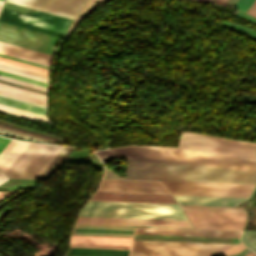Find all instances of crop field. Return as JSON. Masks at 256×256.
I'll list each match as a JSON object with an SVG mask.
<instances>
[{
	"label": "crop field",
	"instance_id": "dafd665d",
	"mask_svg": "<svg viewBox=\"0 0 256 256\" xmlns=\"http://www.w3.org/2000/svg\"><path fill=\"white\" fill-rule=\"evenodd\" d=\"M66 256H128L129 250L70 247Z\"/></svg>",
	"mask_w": 256,
	"mask_h": 256
},
{
	"label": "crop field",
	"instance_id": "89e229c0",
	"mask_svg": "<svg viewBox=\"0 0 256 256\" xmlns=\"http://www.w3.org/2000/svg\"><path fill=\"white\" fill-rule=\"evenodd\" d=\"M236 0H228L225 5L232 7V5L235 3Z\"/></svg>",
	"mask_w": 256,
	"mask_h": 256
},
{
	"label": "crop field",
	"instance_id": "bc2a9ffb",
	"mask_svg": "<svg viewBox=\"0 0 256 256\" xmlns=\"http://www.w3.org/2000/svg\"><path fill=\"white\" fill-rule=\"evenodd\" d=\"M91 200L175 203L172 196L95 193Z\"/></svg>",
	"mask_w": 256,
	"mask_h": 256
},
{
	"label": "crop field",
	"instance_id": "5142ce71",
	"mask_svg": "<svg viewBox=\"0 0 256 256\" xmlns=\"http://www.w3.org/2000/svg\"><path fill=\"white\" fill-rule=\"evenodd\" d=\"M135 227L76 225L72 235L132 237Z\"/></svg>",
	"mask_w": 256,
	"mask_h": 256
},
{
	"label": "crop field",
	"instance_id": "cbeb9de0",
	"mask_svg": "<svg viewBox=\"0 0 256 256\" xmlns=\"http://www.w3.org/2000/svg\"><path fill=\"white\" fill-rule=\"evenodd\" d=\"M179 147L256 159V151L180 139Z\"/></svg>",
	"mask_w": 256,
	"mask_h": 256
},
{
	"label": "crop field",
	"instance_id": "f4fd0767",
	"mask_svg": "<svg viewBox=\"0 0 256 256\" xmlns=\"http://www.w3.org/2000/svg\"><path fill=\"white\" fill-rule=\"evenodd\" d=\"M0 21L62 38L71 19L37 10L19 14L4 8Z\"/></svg>",
	"mask_w": 256,
	"mask_h": 256
},
{
	"label": "crop field",
	"instance_id": "8a807250",
	"mask_svg": "<svg viewBox=\"0 0 256 256\" xmlns=\"http://www.w3.org/2000/svg\"><path fill=\"white\" fill-rule=\"evenodd\" d=\"M125 179L255 184L256 172L127 159ZM104 177L124 178L105 168Z\"/></svg>",
	"mask_w": 256,
	"mask_h": 256
},
{
	"label": "crop field",
	"instance_id": "b54c1fbb",
	"mask_svg": "<svg viewBox=\"0 0 256 256\" xmlns=\"http://www.w3.org/2000/svg\"><path fill=\"white\" fill-rule=\"evenodd\" d=\"M247 13L255 16L256 14V0L253 2V4L250 6V8L247 10Z\"/></svg>",
	"mask_w": 256,
	"mask_h": 256
},
{
	"label": "crop field",
	"instance_id": "425ffa30",
	"mask_svg": "<svg viewBox=\"0 0 256 256\" xmlns=\"http://www.w3.org/2000/svg\"><path fill=\"white\" fill-rule=\"evenodd\" d=\"M248 251H250L247 247L243 250V251H241L240 253H238V254H235V255H232V256H243V255H245Z\"/></svg>",
	"mask_w": 256,
	"mask_h": 256
},
{
	"label": "crop field",
	"instance_id": "b80d0937",
	"mask_svg": "<svg viewBox=\"0 0 256 256\" xmlns=\"http://www.w3.org/2000/svg\"><path fill=\"white\" fill-rule=\"evenodd\" d=\"M63 147L60 146L57 151L52 155V157L46 162V164L40 169V171L35 175L33 179H37L39 175L44 171V169L50 164V162L56 157V155L61 151Z\"/></svg>",
	"mask_w": 256,
	"mask_h": 256
},
{
	"label": "crop field",
	"instance_id": "c21b1889",
	"mask_svg": "<svg viewBox=\"0 0 256 256\" xmlns=\"http://www.w3.org/2000/svg\"><path fill=\"white\" fill-rule=\"evenodd\" d=\"M235 16H238V17H241V18H244V19H247V20H250V21H253V22L256 23V18L251 17V16H249V15H246V14H244V13H241V12H239V11L236 12Z\"/></svg>",
	"mask_w": 256,
	"mask_h": 256
},
{
	"label": "crop field",
	"instance_id": "28ad6ade",
	"mask_svg": "<svg viewBox=\"0 0 256 256\" xmlns=\"http://www.w3.org/2000/svg\"><path fill=\"white\" fill-rule=\"evenodd\" d=\"M168 189L250 192L253 185L161 181Z\"/></svg>",
	"mask_w": 256,
	"mask_h": 256
},
{
	"label": "crop field",
	"instance_id": "412701ff",
	"mask_svg": "<svg viewBox=\"0 0 256 256\" xmlns=\"http://www.w3.org/2000/svg\"><path fill=\"white\" fill-rule=\"evenodd\" d=\"M236 244L134 240L130 256H216Z\"/></svg>",
	"mask_w": 256,
	"mask_h": 256
},
{
	"label": "crop field",
	"instance_id": "1f2cbd36",
	"mask_svg": "<svg viewBox=\"0 0 256 256\" xmlns=\"http://www.w3.org/2000/svg\"><path fill=\"white\" fill-rule=\"evenodd\" d=\"M227 0H216V4H221V5H224V3L226 2Z\"/></svg>",
	"mask_w": 256,
	"mask_h": 256
},
{
	"label": "crop field",
	"instance_id": "dd49c442",
	"mask_svg": "<svg viewBox=\"0 0 256 256\" xmlns=\"http://www.w3.org/2000/svg\"><path fill=\"white\" fill-rule=\"evenodd\" d=\"M57 148L29 143L4 173L11 178L32 179Z\"/></svg>",
	"mask_w": 256,
	"mask_h": 256
},
{
	"label": "crop field",
	"instance_id": "d3111659",
	"mask_svg": "<svg viewBox=\"0 0 256 256\" xmlns=\"http://www.w3.org/2000/svg\"><path fill=\"white\" fill-rule=\"evenodd\" d=\"M71 149L72 148L64 147L40 177H49L50 174L55 170V168L60 164V162L65 158V156L70 152Z\"/></svg>",
	"mask_w": 256,
	"mask_h": 256
},
{
	"label": "crop field",
	"instance_id": "ae1a2a85",
	"mask_svg": "<svg viewBox=\"0 0 256 256\" xmlns=\"http://www.w3.org/2000/svg\"><path fill=\"white\" fill-rule=\"evenodd\" d=\"M182 210L245 212L240 207L180 205Z\"/></svg>",
	"mask_w": 256,
	"mask_h": 256
},
{
	"label": "crop field",
	"instance_id": "5a996713",
	"mask_svg": "<svg viewBox=\"0 0 256 256\" xmlns=\"http://www.w3.org/2000/svg\"><path fill=\"white\" fill-rule=\"evenodd\" d=\"M86 0H7V2L39 9L73 19Z\"/></svg>",
	"mask_w": 256,
	"mask_h": 256
},
{
	"label": "crop field",
	"instance_id": "730fd06b",
	"mask_svg": "<svg viewBox=\"0 0 256 256\" xmlns=\"http://www.w3.org/2000/svg\"><path fill=\"white\" fill-rule=\"evenodd\" d=\"M172 194L248 197L250 193L170 190Z\"/></svg>",
	"mask_w": 256,
	"mask_h": 256
},
{
	"label": "crop field",
	"instance_id": "c035e120",
	"mask_svg": "<svg viewBox=\"0 0 256 256\" xmlns=\"http://www.w3.org/2000/svg\"><path fill=\"white\" fill-rule=\"evenodd\" d=\"M244 248H245V246H243L242 244H239L238 246H235V247L223 252V255L227 256V255H231V254H234V253H238L241 250H243Z\"/></svg>",
	"mask_w": 256,
	"mask_h": 256
},
{
	"label": "crop field",
	"instance_id": "ac0d7876",
	"mask_svg": "<svg viewBox=\"0 0 256 256\" xmlns=\"http://www.w3.org/2000/svg\"><path fill=\"white\" fill-rule=\"evenodd\" d=\"M97 154L99 158H131L256 171V160L254 159L182 148L129 146L99 151Z\"/></svg>",
	"mask_w": 256,
	"mask_h": 256
},
{
	"label": "crop field",
	"instance_id": "eef30255",
	"mask_svg": "<svg viewBox=\"0 0 256 256\" xmlns=\"http://www.w3.org/2000/svg\"><path fill=\"white\" fill-rule=\"evenodd\" d=\"M0 103L6 104V105H9V106H13V107H17V108H20V109L32 111V112H35V113L43 114V115L46 116V109L45 108H41V107H37V106H34V105L22 103V102L11 100V99L4 98V97H0Z\"/></svg>",
	"mask_w": 256,
	"mask_h": 256
},
{
	"label": "crop field",
	"instance_id": "d23c7cc5",
	"mask_svg": "<svg viewBox=\"0 0 256 256\" xmlns=\"http://www.w3.org/2000/svg\"><path fill=\"white\" fill-rule=\"evenodd\" d=\"M7 180L9 179L6 177V175L0 172V184Z\"/></svg>",
	"mask_w": 256,
	"mask_h": 256
},
{
	"label": "crop field",
	"instance_id": "dbb93151",
	"mask_svg": "<svg viewBox=\"0 0 256 256\" xmlns=\"http://www.w3.org/2000/svg\"><path fill=\"white\" fill-rule=\"evenodd\" d=\"M245 256H256V254H254L253 252H249V253H247Z\"/></svg>",
	"mask_w": 256,
	"mask_h": 256
},
{
	"label": "crop field",
	"instance_id": "73cf0c24",
	"mask_svg": "<svg viewBox=\"0 0 256 256\" xmlns=\"http://www.w3.org/2000/svg\"><path fill=\"white\" fill-rule=\"evenodd\" d=\"M0 96H4V97H8V98H11V99H15V100H19V99H16V98H12V97H9V96H5V95H1ZM19 101H22V102H26V103H30V102H27V101H23V100H19ZM30 104H34V103H30ZM34 105H37V104H34ZM37 106H41V105H37ZM41 107H45V106H41ZM46 108V107H45Z\"/></svg>",
	"mask_w": 256,
	"mask_h": 256
},
{
	"label": "crop field",
	"instance_id": "e52e79f7",
	"mask_svg": "<svg viewBox=\"0 0 256 256\" xmlns=\"http://www.w3.org/2000/svg\"><path fill=\"white\" fill-rule=\"evenodd\" d=\"M0 40L53 55L61 39L0 23Z\"/></svg>",
	"mask_w": 256,
	"mask_h": 256
},
{
	"label": "crop field",
	"instance_id": "92a150f3",
	"mask_svg": "<svg viewBox=\"0 0 256 256\" xmlns=\"http://www.w3.org/2000/svg\"><path fill=\"white\" fill-rule=\"evenodd\" d=\"M0 93L1 94H5V95H9L12 97H16L19 99H23V100H27L30 102H34L37 104H41V105H45L47 103V96L46 95H42V94H38L35 92H31V91H27L24 89H20V88H16L13 86H9L6 84H2L0 83Z\"/></svg>",
	"mask_w": 256,
	"mask_h": 256
},
{
	"label": "crop field",
	"instance_id": "0bd39190",
	"mask_svg": "<svg viewBox=\"0 0 256 256\" xmlns=\"http://www.w3.org/2000/svg\"><path fill=\"white\" fill-rule=\"evenodd\" d=\"M0 59H1V60H4V61L12 62V63H15V64H19V65H22V66L30 67V68H33V69H37V70H40V71H44V72H48V73H49V70H48V69H44V68H40V67H37V66L25 64V63H22V62L14 61V60L7 59V58H3V57H0Z\"/></svg>",
	"mask_w": 256,
	"mask_h": 256
},
{
	"label": "crop field",
	"instance_id": "00972430",
	"mask_svg": "<svg viewBox=\"0 0 256 256\" xmlns=\"http://www.w3.org/2000/svg\"><path fill=\"white\" fill-rule=\"evenodd\" d=\"M27 144H28L27 142H22V141H15V140L10 141V143L0 153V169L3 172L13 162V160L19 155V153L26 147Z\"/></svg>",
	"mask_w": 256,
	"mask_h": 256
},
{
	"label": "crop field",
	"instance_id": "34b2d1b8",
	"mask_svg": "<svg viewBox=\"0 0 256 256\" xmlns=\"http://www.w3.org/2000/svg\"><path fill=\"white\" fill-rule=\"evenodd\" d=\"M80 216L186 220L177 204L89 201Z\"/></svg>",
	"mask_w": 256,
	"mask_h": 256
},
{
	"label": "crop field",
	"instance_id": "0fb4a251",
	"mask_svg": "<svg viewBox=\"0 0 256 256\" xmlns=\"http://www.w3.org/2000/svg\"><path fill=\"white\" fill-rule=\"evenodd\" d=\"M3 3H4L3 1H0V10L2 8Z\"/></svg>",
	"mask_w": 256,
	"mask_h": 256
},
{
	"label": "crop field",
	"instance_id": "214f88e0",
	"mask_svg": "<svg viewBox=\"0 0 256 256\" xmlns=\"http://www.w3.org/2000/svg\"><path fill=\"white\" fill-rule=\"evenodd\" d=\"M180 138L256 150V143L253 142L238 141L190 132L181 133Z\"/></svg>",
	"mask_w": 256,
	"mask_h": 256
},
{
	"label": "crop field",
	"instance_id": "750c4746",
	"mask_svg": "<svg viewBox=\"0 0 256 256\" xmlns=\"http://www.w3.org/2000/svg\"><path fill=\"white\" fill-rule=\"evenodd\" d=\"M0 133L4 134V135L11 136V137L20 138V139H26V140H32V141L54 142V141H51V140L39 138V137H36V136L28 135V134H25V133L13 131V130L2 128V127H0Z\"/></svg>",
	"mask_w": 256,
	"mask_h": 256
},
{
	"label": "crop field",
	"instance_id": "03da06ac",
	"mask_svg": "<svg viewBox=\"0 0 256 256\" xmlns=\"http://www.w3.org/2000/svg\"><path fill=\"white\" fill-rule=\"evenodd\" d=\"M9 141H10V139H6V138H3V137H0V152L8 144Z\"/></svg>",
	"mask_w": 256,
	"mask_h": 256
},
{
	"label": "crop field",
	"instance_id": "a9b5d70f",
	"mask_svg": "<svg viewBox=\"0 0 256 256\" xmlns=\"http://www.w3.org/2000/svg\"><path fill=\"white\" fill-rule=\"evenodd\" d=\"M0 62L4 63V64L12 65V66L20 67V68H23V69L39 72V73L44 74V75H49L47 73H43V72L36 71V70H33V69L25 68V67L18 66V65H15V64H11V63H8V62H4V61H1V60H0ZM1 63H0V70L46 82L47 76L40 75L39 73L23 70V69H20V68L4 65V64H1ZM48 79H49V77H48ZM48 79H47V82H48Z\"/></svg>",
	"mask_w": 256,
	"mask_h": 256
},
{
	"label": "crop field",
	"instance_id": "d1516ede",
	"mask_svg": "<svg viewBox=\"0 0 256 256\" xmlns=\"http://www.w3.org/2000/svg\"><path fill=\"white\" fill-rule=\"evenodd\" d=\"M132 238L72 236L70 246L129 249Z\"/></svg>",
	"mask_w": 256,
	"mask_h": 256
},
{
	"label": "crop field",
	"instance_id": "1d83c4d3",
	"mask_svg": "<svg viewBox=\"0 0 256 256\" xmlns=\"http://www.w3.org/2000/svg\"><path fill=\"white\" fill-rule=\"evenodd\" d=\"M240 241L256 251V232L243 231Z\"/></svg>",
	"mask_w": 256,
	"mask_h": 256
},
{
	"label": "crop field",
	"instance_id": "bd1437ed",
	"mask_svg": "<svg viewBox=\"0 0 256 256\" xmlns=\"http://www.w3.org/2000/svg\"><path fill=\"white\" fill-rule=\"evenodd\" d=\"M0 110L12 112V113H16V114H20V115H24V116H28V117L35 118V119L42 120V121H46V119H47V117L45 119V117L41 116V115H37V114H34V113L26 112V111H23V110H19V109H16V108L8 107V106L1 105V104H0ZM48 122L50 123L49 120H48Z\"/></svg>",
	"mask_w": 256,
	"mask_h": 256
},
{
	"label": "crop field",
	"instance_id": "3316defc",
	"mask_svg": "<svg viewBox=\"0 0 256 256\" xmlns=\"http://www.w3.org/2000/svg\"><path fill=\"white\" fill-rule=\"evenodd\" d=\"M77 223L192 228L188 221L79 217Z\"/></svg>",
	"mask_w": 256,
	"mask_h": 256
},
{
	"label": "crop field",
	"instance_id": "5d738f31",
	"mask_svg": "<svg viewBox=\"0 0 256 256\" xmlns=\"http://www.w3.org/2000/svg\"><path fill=\"white\" fill-rule=\"evenodd\" d=\"M18 190H13V191H5V192H0V200L17 192Z\"/></svg>",
	"mask_w": 256,
	"mask_h": 256
},
{
	"label": "crop field",
	"instance_id": "120bbe31",
	"mask_svg": "<svg viewBox=\"0 0 256 256\" xmlns=\"http://www.w3.org/2000/svg\"><path fill=\"white\" fill-rule=\"evenodd\" d=\"M0 79L10 81V82H13V83H17V84H21V85H24V86H28V87H31V88L39 89V90L46 91V92L48 90L47 87L39 86V85H36V84L28 83V82H25V81L13 79V78L2 76V75H0Z\"/></svg>",
	"mask_w": 256,
	"mask_h": 256
},
{
	"label": "crop field",
	"instance_id": "25e5ab78",
	"mask_svg": "<svg viewBox=\"0 0 256 256\" xmlns=\"http://www.w3.org/2000/svg\"><path fill=\"white\" fill-rule=\"evenodd\" d=\"M0 56H3V55H0ZM3 57H7V56H3ZM7 58H11V57H7ZM11 59L18 60V59H15V58H11ZM18 61H22V60H18ZM22 62L29 63V64H33V65H37V64H34V63L26 62V61H22ZM37 66H40V67H44V68H48V69H49V67H45V66H41V65H37Z\"/></svg>",
	"mask_w": 256,
	"mask_h": 256
},
{
	"label": "crop field",
	"instance_id": "4177f3b9",
	"mask_svg": "<svg viewBox=\"0 0 256 256\" xmlns=\"http://www.w3.org/2000/svg\"><path fill=\"white\" fill-rule=\"evenodd\" d=\"M108 0H89L84 8L81 10V12L78 14L76 19L71 24L70 28L68 29L67 33L65 34L64 38L68 39V37L71 35L73 30L76 28V26L79 24V22L86 17L92 10H94L97 6H104L105 3Z\"/></svg>",
	"mask_w": 256,
	"mask_h": 256
},
{
	"label": "crop field",
	"instance_id": "1d79db26",
	"mask_svg": "<svg viewBox=\"0 0 256 256\" xmlns=\"http://www.w3.org/2000/svg\"><path fill=\"white\" fill-rule=\"evenodd\" d=\"M209 1L214 2L215 0H209Z\"/></svg>",
	"mask_w": 256,
	"mask_h": 256
},
{
	"label": "crop field",
	"instance_id": "447ae74e",
	"mask_svg": "<svg viewBox=\"0 0 256 256\" xmlns=\"http://www.w3.org/2000/svg\"><path fill=\"white\" fill-rule=\"evenodd\" d=\"M4 1V0H3Z\"/></svg>",
	"mask_w": 256,
	"mask_h": 256
},
{
	"label": "crop field",
	"instance_id": "5866460e",
	"mask_svg": "<svg viewBox=\"0 0 256 256\" xmlns=\"http://www.w3.org/2000/svg\"><path fill=\"white\" fill-rule=\"evenodd\" d=\"M0 126L6 127V128H10V129H13V130H17V131H21V132H25V133H28V134L36 135V136H39V137L51 139V140H54V141H58V142H62V143H63L62 140H58V139H55V138H51V137H48V136H44V135H41V134H37V133H34V132H30V131H27V130H23V129H20V128L12 127V126H9V125H5V124H1V123H0Z\"/></svg>",
	"mask_w": 256,
	"mask_h": 256
},
{
	"label": "crop field",
	"instance_id": "d9b57169",
	"mask_svg": "<svg viewBox=\"0 0 256 256\" xmlns=\"http://www.w3.org/2000/svg\"><path fill=\"white\" fill-rule=\"evenodd\" d=\"M99 189L167 192L160 182L102 180Z\"/></svg>",
	"mask_w": 256,
	"mask_h": 256
},
{
	"label": "crop field",
	"instance_id": "028f5c9d",
	"mask_svg": "<svg viewBox=\"0 0 256 256\" xmlns=\"http://www.w3.org/2000/svg\"><path fill=\"white\" fill-rule=\"evenodd\" d=\"M97 192L170 195L169 193H157V192H133V191H109V190H97Z\"/></svg>",
	"mask_w": 256,
	"mask_h": 256
},
{
	"label": "crop field",
	"instance_id": "d8731c3e",
	"mask_svg": "<svg viewBox=\"0 0 256 256\" xmlns=\"http://www.w3.org/2000/svg\"><path fill=\"white\" fill-rule=\"evenodd\" d=\"M195 228L242 230L246 213L184 211Z\"/></svg>",
	"mask_w": 256,
	"mask_h": 256
},
{
	"label": "crop field",
	"instance_id": "733c2abd",
	"mask_svg": "<svg viewBox=\"0 0 256 256\" xmlns=\"http://www.w3.org/2000/svg\"><path fill=\"white\" fill-rule=\"evenodd\" d=\"M242 231L137 228L136 233L239 237Z\"/></svg>",
	"mask_w": 256,
	"mask_h": 256
},
{
	"label": "crop field",
	"instance_id": "4a817a6b",
	"mask_svg": "<svg viewBox=\"0 0 256 256\" xmlns=\"http://www.w3.org/2000/svg\"><path fill=\"white\" fill-rule=\"evenodd\" d=\"M178 204L237 206L248 198L174 195Z\"/></svg>",
	"mask_w": 256,
	"mask_h": 256
},
{
	"label": "crop field",
	"instance_id": "22f410ed",
	"mask_svg": "<svg viewBox=\"0 0 256 256\" xmlns=\"http://www.w3.org/2000/svg\"><path fill=\"white\" fill-rule=\"evenodd\" d=\"M0 54L19 58L22 60L34 62L49 67L51 66L53 58L52 55L28 50L4 42H0Z\"/></svg>",
	"mask_w": 256,
	"mask_h": 256
},
{
	"label": "crop field",
	"instance_id": "e1f06a70",
	"mask_svg": "<svg viewBox=\"0 0 256 256\" xmlns=\"http://www.w3.org/2000/svg\"><path fill=\"white\" fill-rule=\"evenodd\" d=\"M0 74L6 75V76H10V77H14V78H17V79L25 80V81H28V82H32V83H36V84H39V85H43V86H47V87H48V84H47V83L35 81V80H32V79L24 78V77H21V76L9 74V73L2 72V71H0Z\"/></svg>",
	"mask_w": 256,
	"mask_h": 256
},
{
	"label": "crop field",
	"instance_id": "9d1cf04e",
	"mask_svg": "<svg viewBox=\"0 0 256 256\" xmlns=\"http://www.w3.org/2000/svg\"><path fill=\"white\" fill-rule=\"evenodd\" d=\"M202 1H206L207 2L208 0H202Z\"/></svg>",
	"mask_w": 256,
	"mask_h": 256
},
{
	"label": "crop field",
	"instance_id": "d32e631a",
	"mask_svg": "<svg viewBox=\"0 0 256 256\" xmlns=\"http://www.w3.org/2000/svg\"><path fill=\"white\" fill-rule=\"evenodd\" d=\"M253 1L254 0H237L236 3L233 5V8L246 12V10L249 8Z\"/></svg>",
	"mask_w": 256,
	"mask_h": 256
}]
</instances>
